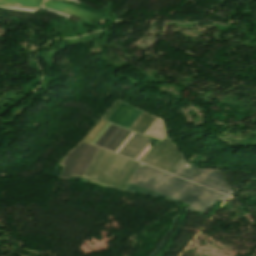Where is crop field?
I'll return each instance as SVG.
<instances>
[{
    "label": "crop field",
    "mask_w": 256,
    "mask_h": 256,
    "mask_svg": "<svg viewBox=\"0 0 256 256\" xmlns=\"http://www.w3.org/2000/svg\"><path fill=\"white\" fill-rule=\"evenodd\" d=\"M130 162L131 159L82 142L60 162L64 166L60 177L83 176L92 183L111 187L120 170H127ZM137 165L132 160L127 171L121 170L112 188L124 190Z\"/></svg>",
    "instance_id": "obj_1"
},
{
    "label": "crop field",
    "mask_w": 256,
    "mask_h": 256,
    "mask_svg": "<svg viewBox=\"0 0 256 256\" xmlns=\"http://www.w3.org/2000/svg\"><path fill=\"white\" fill-rule=\"evenodd\" d=\"M126 190L163 197L177 204L186 202L190 204L187 209L203 216L217 200L224 202L227 197L146 165L138 167Z\"/></svg>",
    "instance_id": "obj_2"
},
{
    "label": "crop field",
    "mask_w": 256,
    "mask_h": 256,
    "mask_svg": "<svg viewBox=\"0 0 256 256\" xmlns=\"http://www.w3.org/2000/svg\"><path fill=\"white\" fill-rule=\"evenodd\" d=\"M155 119L156 117L143 112L132 125L130 130L143 135ZM130 133L131 131L129 130L111 124L96 141L95 145L115 152ZM147 144L139 151L134 160L137 159ZM182 157L181 153L176 149L171 141L164 138L155 143L143 156L140 162L170 173Z\"/></svg>",
    "instance_id": "obj_3"
},
{
    "label": "crop field",
    "mask_w": 256,
    "mask_h": 256,
    "mask_svg": "<svg viewBox=\"0 0 256 256\" xmlns=\"http://www.w3.org/2000/svg\"><path fill=\"white\" fill-rule=\"evenodd\" d=\"M0 5L32 7V8H37L38 6H41L44 8L57 10L60 12H64V13L82 18L88 22H92L96 24L103 23V19L101 17L91 12L78 9L68 4L57 3L52 0H0ZM8 6H0V7H8ZM20 7H9V8L27 9V10H35V11H39L40 9V7L38 9L20 8Z\"/></svg>",
    "instance_id": "obj_4"
},
{
    "label": "crop field",
    "mask_w": 256,
    "mask_h": 256,
    "mask_svg": "<svg viewBox=\"0 0 256 256\" xmlns=\"http://www.w3.org/2000/svg\"><path fill=\"white\" fill-rule=\"evenodd\" d=\"M185 179L203 184L227 195L231 192L220 172L213 169H197L188 165L184 158L172 172Z\"/></svg>",
    "instance_id": "obj_5"
},
{
    "label": "crop field",
    "mask_w": 256,
    "mask_h": 256,
    "mask_svg": "<svg viewBox=\"0 0 256 256\" xmlns=\"http://www.w3.org/2000/svg\"><path fill=\"white\" fill-rule=\"evenodd\" d=\"M141 113L142 111L121 102L107 122L129 129Z\"/></svg>",
    "instance_id": "obj_6"
},
{
    "label": "crop field",
    "mask_w": 256,
    "mask_h": 256,
    "mask_svg": "<svg viewBox=\"0 0 256 256\" xmlns=\"http://www.w3.org/2000/svg\"><path fill=\"white\" fill-rule=\"evenodd\" d=\"M148 141L147 138L135 133L131 140L125 145V147L119 152L123 156L134 158L138 151L145 145Z\"/></svg>",
    "instance_id": "obj_7"
},
{
    "label": "crop field",
    "mask_w": 256,
    "mask_h": 256,
    "mask_svg": "<svg viewBox=\"0 0 256 256\" xmlns=\"http://www.w3.org/2000/svg\"><path fill=\"white\" fill-rule=\"evenodd\" d=\"M120 101L116 100L113 105L104 113V115L101 117V119L106 120L108 116L113 112V110L118 106Z\"/></svg>",
    "instance_id": "obj_8"
},
{
    "label": "crop field",
    "mask_w": 256,
    "mask_h": 256,
    "mask_svg": "<svg viewBox=\"0 0 256 256\" xmlns=\"http://www.w3.org/2000/svg\"><path fill=\"white\" fill-rule=\"evenodd\" d=\"M66 1H69V0H66Z\"/></svg>",
    "instance_id": "obj_9"
}]
</instances>
